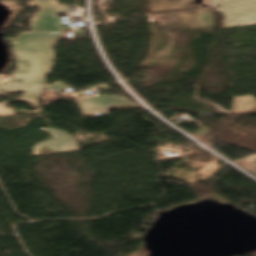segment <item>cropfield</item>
Listing matches in <instances>:
<instances>
[{"label": "crop field", "instance_id": "crop-field-1", "mask_svg": "<svg viewBox=\"0 0 256 256\" xmlns=\"http://www.w3.org/2000/svg\"><path fill=\"white\" fill-rule=\"evenodd\" d=\"M55 33H59V32H55Z\"/></svg>", "mask_w": 256, "mask_h": 256}]
</instances>
